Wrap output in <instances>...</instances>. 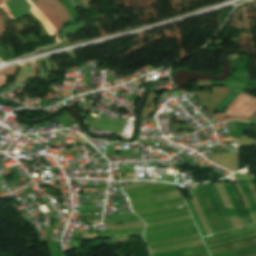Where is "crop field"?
I'll use <instances>...</instances> for the list:
<instances>
[{
	"label": "crop field",
	"instance_id": "3",
	"mask_svg": "<svg viewBox=\"0 0 256 256\" xmlns=\"http://www.w3.org/2000/svg\"><path fill=\"white\" fill-rule=\"evenodd\" d=\"M36 7L47 17L51 24L58 30L62 28V23L59 19L47 8L45 7L40 0L35 3Z\"/></svg>",
	"mask_w": 256,
	"mask_h": 256
},
{
	"label": "crop field",
	"instance_id": "18",
	"mask_svg": "<svg viewBox=\"0 0 256 256\" xmlns=\"http://www.w3.org/2000/svg\"><path fill=\"white\" fill-rule=\"evenodd\" d=\"M0 59H1V57H0Z\"/></svg>",
	"mask_w": 256,
	"mask_h": 256
},
{
	"label": "crop field",
	"instance_id": "14",
	"mask_svg": "<svg viewBox=\"0 0 256 256\" xmlns=\"http://www.w3.org/2000/svg\"><path fill=\"white\" fill-rule=\"evenodd\" d=\"M37 72V62H34V69H33V74Z\"/></svg>",
	"mask_w": 256,
	"mask_h": 256
},
{
	"label": "crop field",
	"instance_id": "11",
	"mask_svg": "<svg viewBox=\"0 0 256 256\" xmlns=\"http://www.w3.org/2000/svg\"><path fill=\"white\" fill-rule=\"evenodd\" d=\"M7 82V78L4 75H0V87L4 86Z\"/></svg>",
	"mask_w": 256,
	"mask_h": 256
},
{
	"label": "crop field",
	"instance_id": "19",
	"mask_svg": "<svg viewBox=\"0 0 256 256\" xmlns=\"http://www.w3.org/2000/svg\"><path fill=\"white\" fill-rule=\"evenodd\" d=\"M5 1H7V0H5Z\"/></svg>",
	"mask_w": 256,
	"mask_h": 256
},
{
	"label": "crop field",
	"instance_id": "12",
	"mask_svg": "<svg viewBox=\"0 0 256 256\" xmlns=\"http://www.w3.org/2000/svg\"><path fill=\"white\" fill-rule=\"evenodd\" d=\"M0 29H1V31H2L4 34H6L5 27H4V24H3L2 20H1V18H0Z\"/></svg>",
	"mask_w": 256,
	"mask_h": 256
},
{
	"label": "crop field",
	"instance_id": "15",
	"mask_svg": "<svg viewBox=\"0 0 256 256\" xmlns=\"http://www.w3.org/2000/svg\"><path fill=\"white\" fill-rule=\"evenodd\" d=\"M86 2H87V5L91 4L90 0H86Z\"/></svg>",
	"mask_w": 256,
	"mask_h": 256
},
{
	"label": "crop field",
	"instance_id": "5",
	"mask_svg": "<svg viewBox=\"0 0 256 256\" xmlns=\"http://www.w3.org/2000/svg\"><path fill=\"white\" fill-rule=\"evenodd\" d=\"M238 91L233 90L231 94L221 103L218 110L222 111L238 95Z\"/></svg>",
	"mask_w": 256,
	"mask_h": 256
},
{
	"label": "crop field",
	"instance_id": "10",
	"mask_svg": "<svg viewBox=\"0 0 256 256\" xmlns=\"http://www.w3.org/2000/svg\"><path fill=\"white\" fill-rule=\"evenodd\" d=\"M0 9L3 10V11L6 13L8 19H12V18H13V16H12L11 13L9 12V10L7 9L5 3L0 6Z\"/></svg>",
	"mask_w": 256,
	"mask_h": 256
},
{
	"label": "crop field",
	"instance_id": "17",
	"mask_svg": "<svg viewBox=\"0 0 256 256\" xmlns=\"http://www.w3.org/2000/svg\"><path fill=\"white\" fill-rule=\"evenodd\" d=\"M2 3H4V1H3V0H0V4H2Z\"/></svg>",
	"mask_w": 256,
	"mask_h": 256
},
{
	"label": "crop field",
	"instance_id": "7",
	"mask_svg": "<svg viewBox=\"0 0 256 256\" xmlns=\"http://www.w3.org/2000/svg\"><path fill=\"white\" fill-rule=\"evenodd\" d=\"M29 10L41 21V23L44 25L49 36L53 35L50 29L48 28V26L46 25V23L43 21V19L32 8Z\"/></svg>",
	"mask_w": 256,
	"mask_h": 256
},
{
	"label": "crop field",
	"instance_id": "16",
	"mask_svg": "<svg viewBox=\"0 0 256 256\" xmlns=\"http://www.w3.org/2000/svg\"><path fill=\"white\" fill-rule=\"evenodd\" d=\"M1 37H4V35H3V33L0 31V38H1Z\"/></svg>",
	"mask_w": 256,
	"mask_h": 256
},
{
	"label": "crop field",
	"instance_id": "4",
	"mask_svg": "<svg viewBox=\"0 0 256 256\" xmlns=\"http://www.w3.org/2000/svg\"><path fill=\"white\" fill-rule=\"evenodd\" d=\"M35 10L36 12L45 20V22L47 23V25L49 26V28L51 29V31L53 32L55 39H56V42H59L61 41L59 35H58V32L57 30L49 23V21L45 18V16L33 5V3L30 1V0H26Z\"/></svg>",
	"mask_w": 256,
	"mask_h": 256
},
{
	"label": "crop field",
	"instance_id": "8",
	"mask_svg": "<svg viewBox=\"0 0 256 256\" xmlns=\"http://www.w3.org/2000/svg\"><path fill=\"white\" fill-rule=\"evenodd\" d=\"M16 71V66L10 67V68H5L0 70V74H11L14 75Z\"/></svg>",
	"mask_w": 256,
	"mask_h": 256
},
{
	"label": "crop field",
	"instance_id": "6",
	"mask_svg": "<svg viewBox=\"0 0 256 256\" xmlns=\"http://www.w3.org/2000/svg\"><path fill=\"white\" fill-rule=\"evenodd\" d=\"M223 113L212 115L219 123L225 122L227 120H243L246 121L247 118H239V117H228V118H222Z\"/></svg>",
	"mask_w": 256,
	"mask_h": 256
},
{
	"label": "crop field",
	"instance_id": "9",
	"mask_svg": "<svg viewBox=\"0 0 256 256\" xmlns=\"http://www.w3.org/2000/svg\"><path fill=\"white\" fill-rule=\"evenodd\" d=\"M256 111V101L252 104V106L243 114V116L249 117Z\"/></svg>",
	"mask_w": 256,
	"mask_h": 256
},
{
	"label": "crop field",
	"instance_id": "2",
	"mask_svg": "<svg viewBox=\"0 0 256 256\" xmlns=\"http://www.w3.org/2000/svg\"><path fill=\"white\" fill-rule=\"evenodd\" d=\"M62 22L70 19V15L58 0H41Z\"/></svg>",
	"mask_w": 256,
	"mask_h": 256
},
{
	"label": "crop field",
	"instance_id": "13",
	"mask_svg": "<svg viewBox=\"0 0 256 256\" xmlns=\"http://www.w3.org/2000/svg\"><path fill=\"white\" fill-rule=\"evenodd\" d=\"M0 17L2 18L3 22L7 19L1 10H0Z\"/></svg>",
	"mask_w": 256,
	"mask_h": 256
},
{
	"label": "crop field",
	"instance_id": "1",
	"mask_svg": "<svg viewBox=\"0 0 256 256\" xmlns=\"http://www.w3.org/2000/svg\"><path fill=\"white\" fill-rule=\"evenodd\" d=\"M256 98H251L240 92L238 97L227 107L224 116H242V114L251 106Z\"/></svg>",
	"mask_w": 256,
	"mask_h": 256
}]
</instances>
